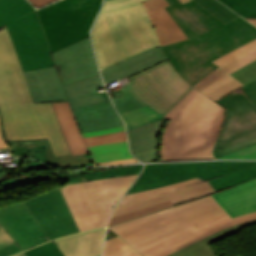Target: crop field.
I'll use <instances>...</instances> for the list:
<instances>
[{
    "label": "crop field",
    "instance_id": "8a807250",
    "mask_svg": "<svg viewBox=\"0 0 256 256\" xmlns=\"http://www.w3.org/2000/svg\"><path fill=\"white\" fill-rule=\"evenodd\" d=\"M165 7L189 39L160 47L178 75L191 86L219 67L211 61L256 38L242 17L224 24L195 1Z\"/></svg>",
    "mask_w": 256,
    "mask_h": 256
},
{
    "label": "crop field",
    "instance_id": "ac0d7876",
    "mask_svg": "<svg viewBox=\"0 0 256 256\" xmlns=\"http://www.w3.org/2000/svg\"><path fill=\"white\" fill-rule=\"evenodd\" d=\"M254 218L256 212L231 219L209 195L110 229L144 256H166L204 236Z\"/></svg>",
    "mask_w": 256,
    "mask_h": 256
},
{
    "label": "crop field",
    "instance_id": "34b2d1b8",
    "mask_svg": "<svg viewBox=\"0 0 256 256\" xmlns=\"http://www.w3.org/2000/svg\"><path fill=\"white\" fill-rule=\"evenodd\" d=\"M0 113L7 141L48 139L55 157L72 155L52 103H33L6 26L0 28Z\"/></svg>",
    "mask_w": 256,
    "mask_h": 256
},
{
    "label": "crop field",
    "instance_id": "412701ff",
    "mask_svg": "<svg viewBox=\"0 0 256 256\" xmlns=\"http://www.w3.org/2000/svg\"><path fill=\"white\" fill-rule=\"evenodd\" d=\"M199 92L193 88L164 116L170 122L163 135L162 161L214 159L224 108Z\"/></svg>",
    "mask_w": 256,
    "mask_h": 256
},
{
    "label": "crop field",
    "instance_id": "f4fd0767",
    "mask_svg": "<svg viewBox=\"0 0 256 256\" xmlns=\"http://www.w3.org/2000/svg\"><path fill=\"white\" fill-rule=\"evenodd\" d=\"M144 1L104 2L91 33L100 69L160 45L142 4Z\"/></svg>",
    "mask_w": 256,
    "mask_h": 256
},
{
    "label": "crop field",
    "instance_id": "dd49c442",
    "mask_svg": "<svg viewBox=\"0 0 256 256\" xmlns=\"http://www.w3.org/2000/svg\"><path fill=\"white\" fill-rule=\"evenodd\" d=\"M0 224L22 250L79 231L59 186L1 207Z\"/></svg>",
    "mask_w": 256,
    "mask_h": 256
},
{
    "label": "crop field",
    "instance_id": "e52e79f7",
    "mask_svg": "<svg viewBox=\"0 0 256 256\" xmlns=\"http://www.w3.org/2000/svg\"><path fill=\"white\" fill-rule=\"evenodd\" d=\"M129 78L132 82L126 86L146 106L120 115L127 130L164 119L163 116L192 89L168 60Z\"/></svg>",
    "mask_w": 256,
    "mask_h": 256
},
{
    "label": "crop field",
    "instance_id": "d8731c3e",
    "mask_svg": "<svg viewBox=\"0 0 256 256\" xmlns=\"http://www.w3.org/2000/svg\"><path fill=\"white\" fill-rule=\"evenodd\" d=\"M199 177L216 192L256 177V161H210L146 165L127 193L148 190ZM126 193V194H127Z\"/></svg>",
    "mask_w": 256,
    "mask_h": 256
},
{
    "label": "crop field",
    "instance_id": "5a996713",
    "mask_svg": "<svg viewBox=\"0 0 256 256\" xmlns=\"http://www.w3.org/2000/svg\"><path fill=\"white\" fill-rule=\"evenodd\" d=\"M137 176L106 178L61 188L79 230L106 226L116 202Z\"/></svg>",
    "mask_w": 256,
    "mask_h": 256
},
{
    "label": "crop field",
    "instance_id": "3316defc",
    "mask_svg": "<svg viewBox=\"0 0 256 256\" xmlns=\"http://www.w3.org/2000/svg\"><path fill=\"white\" fill-rule=\"evenodd\" d=\"M4 24L24 71L55 66L37 12L27 0H0V27Z\"/></svg>",
    "mask_w": 256,
    "mask_h": 256
},
{
    "label": "crop field",
    "instance_id": "28ad6ade",
    "mask_svg": "<svg viewBox=\"0 0 256 256\" xmlns=\"http://www.w3.org/2000/svg\"><path fill=\"white\" fill-rule=\"evenodd\" d=\"M102 0H60L38 10L51 52L89 36Z\"/></svg>",
    "mask_w": 256,
    "mask_h": 256
},
{
    "label": "crop field",
    "instance_id": "d1516ede",
    "mask_svg": "<svg viewBox=\"0 0 256 256\" xmlns=\"http://www.w3.org/2000/svg\"><path fill=\"white\" fill-rule=\"evenodd\" d=\"M225 119L215 144L216 158L256 143V107L239 88L217 101ZM221 150V151H219Z\"/></svg>",
    "mask_w": 256,
    "mask_h": 256
},
{
    "label": "crop field",
    "instance_id": "22f410ed",
    "mask_svg": "<svg viewBox=\"0 0 256 256\" xmlns=\"http://www.w3.org/2000/svg\"><path fill=\"white\" fill-rule=\"evenodd\" d=\"M212 193H215V191L208 181L195 178L148 191L124 195L121 201L117 204L113 216L167 200L175 205Z\"/></svg>",
    "mask_w": 256,
    "mask_h": 256
},
{
    "label": "crop field",
    "instance_id": "cbeb9de0",
    "mask_svg": "<svg viewBox=\"0 0 256 256\" xmlns=\"http://www.w3.org/2000/svg\"><path fill=\"white\" fill-rule=\"evenodd\" d=\"M52 55L63 85L99 74L89 37Z\"/></svg>",
    "mask_w": 256,
    "mask_h": 256
},
{
    "label": "crop field",
    "instance_id": "5142ce71",
    "mask_svg": "<svg viewBox=\"0 0 256 256\" xmlns=\"http://www.w3.org/2000/svg\"><path fill=\"white\" fill-rule=\"evenodd\" d=\"M256 59V44L218 64L220 67L193 85L201 93L217 101L243 86L229 74Z\"/></svg>",
    "mask_w": 256,
    "mask_h": 256
},
{
    "label": "crop field",
    "instance_id": "d9b57169",
    "mask_svg": "<svg viewBox=\"0 0 256 256\" xmlns=\"http://www.w3.org/2000/svg\"><path fill=\"white\" fill-rule=\"evenodd\" d=\"M12 147L13 156L29 155L41 162L60 167H79L91 165L89 154L54 158L47 140L8 142Z\"/></svg>",
    "mask_w": 256,
    "mask_h": 256
},
{
    "label": "crop field",
    "instance_id": "733c2abd",
    "mask_svg": "<svg viewBox=\"0 0 256 256\" xmlns=\"http://www.w3.org/2000/svg\"><path fill=\"white\" fill-rule=\"evenodd\" d=\"M231 218L256 211V180L212 194Z\"/></svg>",
    "mask_w": 256,
    "mask_h": 256
},
{
    "label": "crop field",
    "instance_id": "4a817a6b",
    "mask_svg": "<svg viewBox=\"0 0 256 256\" xmlns=\"http://www.w3.org/2000/svg\"><path fill=\"white\" fill-rule=\"evenodd\" d=\"M24 73L34 102L67 100L55 67Z\"/></svg>",
    "mask_w": 256,
    "mask_h": 256
},
{
    "label": "crop field",
    "instance_id": "bc2a9ffb",
    "mask_svg": "<svg viewBox=\"0 0 256 256\" xmlns=\"http://www.w3.org/2000/svg\"><path fill=\"white\" fill-rule=\"evenodd\" d=\"M143 4L161 46L187 39L183 31L163 8L169 6L165 0H148Z\"/></svg>",
    "mask_w": 256,
    "mask_h": 256
},
{
    "label": "crop field",
    "instance_id": "214f88e0",
    "mask_svg": "<svg viewBox=\"0 0 256 256\" xmlns=\"http://www.w3.org/2000/svg\"><path fill=\"white\" fill-rule=\"evenodd\" d=\"M73 113L82 132L123 125L110 100L74 109Z\"/></svg>",
    "mask_w": 256,
    "mask_h": 256
},
{
    "label": "crop field",
    "instance_id": "92a150f3",
    "mask_svg": "<svg viewBox=\"0 0 256 256\" xmlns=\"http://www.w3.org/2000/svg\"><path fill=\"white\" fill-rule=\"evenodd\" d=\"M105 228L54 240L65 256H99Z\"/></svg>",
    "mask_w": 256,
    "mask_h": 256
},
{
    "label": "crop field",
    "instance_id": "dafd665d",
    "mask_svg": "<svg viewBox=\"0 0 256 256\" xmlns=\"http://www.w3.org/2000/svg\"><path fill=\"white\" fill-rule=\"evenodd\" d=\"M100 76H94L68 85L64 90L71 109L109 100L107 92L99 94L96 88L103 87Z\"/></svg>",
    "mask_w": 256,
    "mask_h": 256
},
{
    "label": "crop field",
    "instance_id": "00972430",
    "mask_svg": "<svg viewBox=\"0 0 256 256\" xmlns=\"http://www.w3.org/2000/svg\"><path fill=\"white\" fill-rule=\"evenodd\" d=\"M52 103L72 154L88 153L68 101Z\"/></svg>",
    "mask_w": 256,
    "mask_h": 256
},
{
    "label": "crop field",
    "instance_id": "a9b5d70f",
    "mask_svg": "<svg viewBox=\"0 0 256 256\" xmlns=\"http://www.w3.org/2000/svg\"><path fill=\"white\" fill-rule=\"evenodd\" d=\"M256 224V219L244 222L227 229L219 231L213 235L207 236L199 241H196L168 256H216L218 253L210 245V243L217 241L221 238L229 236L233 233L241 231L242 227L251 226Z\"/></svg>",
    "mask_w": 256,
    "mask_h": 256
},
{
    "label": "crop field",
    "instance_id": "4177f3b9",
    "mask_svg": "<svg viewBox=\"0 0 256 256\" xmlns=\"http://www.w3.org/2000/svg\"><path fill=\"white\" fill-rule=\"evenodd\" d=\"M167 119L128 130L129 144L132 153L152 148L157 145V136Z\"/></svg>",
    "mask_w": 256,
    "mask_h": 256
},
{
    "label": "crop field",
    "instance_id": "730fd06b",
    "mask_svg": "<svg viewBox=\"0 0 256 256\" xmlns=\"http://www.w3.org/2000/svg\"><path fill=\"white\" fill-rule=\"evenodd\" d=\"M87 148L90 152L92 162H102L133 157L130 155V152L128 150L127 141L100 146H92Z\"/></svg>",
    "mask_w": 256,
    "mask_h": 256
},
{
    "label": "crop field",
    "instance_id": "eef30255",
    "mask_svg": "<svg viewBox=\"0 0 256 256\" xmlns=\"http://www.w3.org/2000/svg\"><path fill=\"white\" fill-rule=\"evenodd\" d=\"M102 256H141L119 237L105 241Z\"/></svg>",
    "mask_w": 256,
    "mask_h": 256
},
{
    "label": "crop field",
    "instance_id": "ae1a2a85",
    "mask_svg": "<svg viewBox=\"0 0 256 256\" xmlns=\"http://www.w3.org/2000/svg\"><path fill=\"white\" fill-rule=\"evenodd\" d=\"M120 91L123 96L111 98L119 114L144 106L131 94L126 86L120 88Z\"/></svg>",
    "mask_w": 256,
    "mask_h": 256
},
{
    "label": "crop field",
    "instance_id": "d3111659",
    "mask_svg": "<svg viewBox=\"0 0 256 256\" xmlns=\"http://www.w3.org/2000/svg\"><path fill=\"white\" fill-rule=\"evenodd\" d=\"M195 1L225 23L238 16L237 14L233 13L231 10H229L227 7H225L223 4H221L216 0H195Z\"/></svg>",
    "mask_w": 256,
    "mask_h": 256
},
{
    "label": "crop field",
    "instance_id": "750c4746",
    "mask_svg": "<svg viewBox=\"0 0 256 256\" xmlns=\"http://www.w3.org/2000/svg\"><path fill=\"white\" fill-rule=\"evenodd\" d=\"M243 17L256 18V0H219Z\"/></svg>",
    "mask_w": 256,
    "mask_h": 256
},
{
    "label": "crop field",
    "instance_id": "bd1437ed",
    "mask_svg": "<svg viewBox=\"0 0 256 256\" xmlns=\"http://www.w3.org/2000/svg\"><path fill=\"white\" fill-rule=\"evenodd\" d=\"M142 166L143 164H139L132 167L123 168V169H110V170L101 171L97 173H89L87 175H84V177L86 181H89V180H95V179L112 177V176L137 174V173H140Z\"/></svg>",
    "mask_w": 256,
    "mask_h": 256
},
{
    "label": "crop field",
    "instance_id": "1d83c4d3",
    "mask_svg": "<svg viewBox=\"0 0 256 256\" xmlns=\"http://www.w3.org/2000/svg\"><path fill=\"white\" fill-rule=\"evenodd\" d=\"M171 206L172 205L169 203V201H167V202H163V203L153 205V206H150V207H147V208H143V209H140V210H137V211H133V212H130V213H127V214H123V215H120V216H117V217H113L111 219L108 227H110L112 225H115V224H118V223H122L124 221L129 220V219H132V218H135V217H138V216H141V215H145V214L151 213L153 211H157V210H160V209L171 207Z\"/></svg>",
    "mask_w": 256,
    "mask_h": 256
},
{
    "label": "crop field",
    "instance_id": "120bbe31",
    "mask_svg": "<svg viewBox=\"0 0 256 256\" xmlns=\"http://www.w3.org/2000/svg\"><path fill=\"white\" fill-rule=\"evenodd\" d=\"M83 139L87 146L100 145V144H105V143L127 140L125 131L118 132V133H112V134H105V135H100V136H95V137H88V138H83Z\"/></svg>",
    "mask_w": 256,
    "mask_h": 256
},
{
    "label": "crop field",
    "instance_id": "d32e631a",
    "mask_svg": "<svg viewBox=\"0 0 256 256\" xmlns=\"http://www.w3.org/2000/svg\"><path fill=\"white\" fill-rule=\"evenodd\" d=\"M24 253L26 256H64L52 241L24 251Z\"/></svg>",
    "mask_w": 256,
    "mask_h": 256
},
{
    "label": "crop field",
    "instance_id": "5866460e",
    "mask_svg": "<svg viewBox=\"0 0 256 256\" xmlns=\"http://www.w3.org/2000/svg\"><path fill=\"white\" fill-rule=\"evenodd\" d=\"M244 85L256 79V60L230 74Z\"/></svg>",
    "mask_w": 256,
    "mask_h": 256
},
{
    "label": "crop field",
    "instance_id": "028f5c9d",
    "mask_svg": "<svg viewBox=\"0 0 256 256\" xmlns=\"http://www.w3.org/2000/svg\"><path fill=\"white\" fill-rule=\"evenodd\" d=\"M49 178H50L49 174H42V175H37L35 177L18 179L20 184H17L16 179H10V180H7L6 182L2 183V186H1L2 189H0V191L13 189V188L22 186L24 184H28V183H32V182H36V181H40V180H45V179H49Z\"/></svg>",
    "mask_w": 256,
    "mask_h": 256
},
{
    "label": "crop field",
    "instance_id": "e1f06a70",
    "mask_svg": "<svg viewBox=\"0 0 256 256\" xmlns=\"http://www.w3.org/2000/svg\"><path fill=\"white\" fill-rule=\"evenodd\" d=\"M218 159H256V144Z\"/></svg>",
    "mask_w": 256,
    "mask_h": 256
},
{
    "label": "crop field",
    "instance_id": "0bd39190",
    "mask_svg": "<svg viewBox=\"0 0 256 256\" xmlns=\"http://www.w3.org/2000/svg\"><path fill=\"white\" fill-rule=\"evenodd\" d=\"M86 170V169H84ZM84 170H80V171H74V172H67L68 175L66 176H60V180L62 182H64L65 180L69 181L68 184L71 183H77V182H83L85 181L84 177L82 176L81 171Z\"/></svg>",
    "mask_w": 256,
    "mask_h": 256
},
{
    "label": "crop field",
    "instance_id": "b80d0937",
    "mask_svg": "<svg viewBox=\"0 0 256 256\" xmlns=\"http://www.w3.org/2000/svg\"><path fill=\"white\" fill-rule=\"evenodd\" d=\"M156 148L154 147L152 149L149 150H145V151H141L138 153H134V155L138 158L141 159V162H151V161H155L156 157H155V152H156Z\"/></svg>",
    "mask_w": 256,
    "mask_h": 256
},
{
    "label": "crop field",
    "instance_id": "c035e120",
    "mask_svg": "<svg viewBox=\"0 0 256 256\" xmlns=\"http://www.w3.org/2000/svg\"><path fill=\"white\" fill-rule=\"evenodd\" d=\"M241 89L248 96V98L251 101H253V104L256 106V80H254L246 86L241 87Z\"/></svg>",
    "mask_w": 256,
    "mask_h": 256
},
{
    "label": "crop field",
    "instance_id": "c21b1889",
    "mask_svg": "<svg viewBox=\"0 0 256 256\" xmlns=\"http://www.w3.org/2000/svg\"><path fill=\"white\" fill-rule=\"evenodd\" d=\"M22 251L20 247L14 243L9 246L3 247L0 249V256H10Z\"/></svg>",
    "mask_w": 256,
    "mask_h": 256
},
{
    "label": "crop field",
    "instance_id": "03da06ac",
    "mask_svg": "<svg viewBox=\"0 0 256 256\" xmlns=\"http://www.w3.org/2000/svg\"><path fill=\"white\" fill-rule=\"evenodd\" d=\"M122 130H125L124 129V125L123 126H119V127H115V128H110V129L98 130V131H94V132H85V133H82V136L83 137L95 136V135L111 133V132H117V131H122Z\"/></svg>",
    "mask_w": 256,
    "mask_h": 256
},
{
    "label": "crop field",
    "instance_id": "b54c1fbb",
    "mask_svg": "<svg viewBox=\"0 0 256 256\" xmlns=\"http://www.w3.org/2000/svg\"><path fill=\"white\" fill-rule=\"evenodd\" d=\"M255 43H256V39L251 41V42H249V43H247V44H245V45H243V46H241V47H239L238 49H236V50H234V51H232V52H230V53H228V54H226V55H224V56H222V57L212 61V62L217 64V63H219V62H221V61H223V60L233 56L234 54H236V53L246 49L247 47H249V46H251V45H253Z\"/></svg>",
    "mask_w": 256,
    "mask_h": 256
},
{
    "label": "crop field",
    "instance_id": "5d738f31",
    "mask_svg": "<svg viewBox=\"0 0 256 256\" xmlns=\"http://www.w3.org/2000/svg\"><path fill=\"white\" fill-rule=\"evenodd\" d=\"M14 243L13 239L0 226V248Z\"/></svg>",
    "mask_w": 256,
    "mask_h": 256
},
{
    "label": "crop field",
    "instance_id": "d23c7cc5",
    "mask_svg": "<svg viewBox=\"0 0 256 256\" xmlns=\"http://www.w3.org/2000/svg\"><path fill=\"white\" fill-rule=\"evenodd\" d=\"M40 168H43V169H45V168H52V169L59 170V169L56 168V167L48 166V165L39 163V162H37V161H34V162H32L31 164H28V165L24 166L22 169H23V170H24V169H30V170H32V169H40Z\"/></svg>",
    "mask_w": 256,
    "mask_h": 256
},
{
    "label": "crop field",
    "instance_id": "425ffa30",
    "mask_svg": "<svg viewBox=\"0 0 256 256\" xmlns=\"http://www.w3.org/2000/svg\"><path fill=\"white\" fill-rule=\"evenodd\" d=\"M131 162H138L135 158H128L122 160H115L109 162H102V163H92V165H110V164H122V163H131Z\"/></svg>",
    "mask_w": 256,
    "mask_h": 256
},
{
    "label": "crop field",
    "instance_id": "25e5ab78",
    "mask_svg": "<svg viewBox=\"0 0 256 256\" xmlns=\"http://www.w3.org/2000/svg\"><path fill=\"white\" fill-rule=\"evenodd\" d=\"M33 5L34 7L36 8H41L51 2H54L56 0H29Z\"/></svg>",
    "mask_w": 256,
    "mask_h": 256
},
{
    "label": "crop field",
    "instance_id": "73cf0c24",
    "mask_svg": "<svg viewBox=\"0 0 256 256\" xmlns=\"http://www.w3.org/2000/svg\"><path fill=\"white\" fill-rule=\"evenodd\" d=\"M0 130H2L1 129V121H0ZM0 149L10 150V147L4 142L1 132H0Z\"/></svg>",
    "mask_w": 256,
    "mask_h": 256
},
{
    "label": "crop field",
    "instance_id": "89e229c0",
    "mask_svg": "<svg viewBox=\"0 0 256 256\" xmlns=\"http://www.w3.org/2000/svg\"><path fill=\"white\" fill-rule=\"evenodd\" d=\"M0 169H3V168H0ZM9 173H6L5 170H0V177L4 176V175H7Z\"/></svg>",
    "mask_w": 256,
    "mask_h": 256
},
{
    "label": "crop field",
    "instance_id": "1f2cbd36",
    "mask_svg": "<svg viewBox=\"0 0 256 256\" xmlns=\"http://www.w3.org/2000/svg\"><path fill=\"white\" fill-rule=\"evenodd\" d=\"M246 19L249 20L254 25H256V19H253V18H246Z\"/></svg>",
    "mask_w": 256,
    "mask_h": 256
},
{
    "label": "crop field",
    "instance_id": "dbb93151",
    "mask_svg": "<svg viewBox=\"0 0 256 256\" xmlns=\"http://www.w3.org/2000/svg\"><path fill=\"white\" fill-rule=\"evenodd\" d=\"M14 256H25L23 252L19 253V254H16Z\"/></svg>",
    "mask_w": 256,
    "mask_h": 256
},
{
    "label": "crop field",
    "instance_id": "0fb4a251",
    "mask_svg": "<svg viewBox=\"0 0 256 256\" xmlns=\"http://www.w3.org/2000/svg\"><path fill=\"white\" fill-rule=\"evenodd\" d=\"M170 5H172L173 3L170 0H166Z\"/></svg>",
    "mask_w": 256,
    "mask_h": 256
},
{
    "label": "crop field",
    "instance_id": "1d79db26",
    "mask_svg": "<svg viewBox=\"0 0 256 256\" xmlns=\"http://www.w3.org/2000/svg\"><path fill=\"white\" fill-rule=\"evenodd\" d=\"M182 3L186 2V1H189V0H180Z\"/></svg>",
    "mask_w": 256,
    "mask_h": 256
},
{
    "label": "crop field",
    "instance_id": "9d1cf04e",
    "mask_svg": "<svg viewBox=\"0 0 256 256\" xmlns=\"http://www.w3.org/2000/svg\"><path fill=\"white\" fill-rule=\"evenodd\" d=\"M240 256V255H239Z\"/></svg>",
    "mask_w": 256,
    "mask_h": 256
},
{
    "label": "crop field",
    "instance_id": "447ae74e",
    "mask_svg": "<svg viewBox=\"0 0 256 256\" xmlns=\"http://www.w3.org/2000/svg\"><path fill=\"white\" fill-rule=\"evenodd\" d=\"M106 1V0H105Z\"/></svg>",
    "mask_w": 256,
    "mask_h": 256
}]
</instances>
